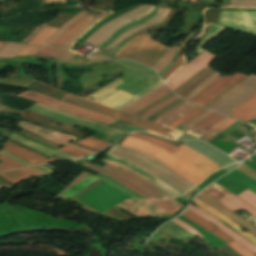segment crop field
<instances>
[{
  "label": "crop field",
  "mask_w": 256,
  "mask_h": 256,
  "mask_svg": "<svg viewBox=\"0 0 256 256\" xmlns=\"http://www.w3.org/2000/svg\"><path fill=\"white\" fill-rule=\"evenodd\" d=\"M1 188V187H0Z\"/></svg>",
  "instance_id": "ade564c9"
},
{
  "label": "crop field",
  "mask_w": 256,
  "mask_h": 256,
  "mask_svg": "<svg viewBox=\"0 0 256 256\" xmlns=\"http://www.w3.org/2000/svg\"><path fill=\"white\" fill-rule=\"evenodd\" d=\"M248 76L241 74H234L230 77H220L197 96H195L190 102L208 108L216 100L233 89L235 86L244 81Z\"/></svg>",
  "instance_id": "dd49c442"
},
{
  "label": "crop field",
  "mask_w": 256,
  "mask_h": 256,
  "mask_svg": "<svg viewBox=\"0 0 256 256\" xmlns=\"http://www.w3.org/2000/svg\"><path fill=\"white\" fill-rule=\"evenodd\" d=\"M169 92H171L170 89L165 85L158 87L153 91L143 95L142 97H140L139 99L131 103L130 105H128L126 108L123 109V111L133 114L139 109H141L143 106H145L146 104L162 97L163 95Z\"/></svg>",
  "instance_id": "733c2abd"
},
{
  "label": "crop field",
  "mask_w": 256,
  "mask_h": 256,
  "mask_svg": "<svg viewBox=\"0 0 256 256\" xmlns=\"http://www.w3.org/2000/svg\"><path fill=\"white\" fill-rule=\"evenodd\" d=\"M81 166L99 171L130 188L146 199H167L169 196L165 195L156 188L148 185L135 175L118 168L116 166L106 164L103 168L85 163Z\"/></svg>",
  "instance_id": "412701ff"
},
{
  "label": "crop field",
  "mask_w": 256,
  "mask_h": 256,
  "mask_svg": "<svg viewBox=\"0 0 256 256\" xmlns=\"http://www.w3.org/2000/svg\"><path fill=\"white\" fill-rule=\"evenodd\" d=\"M132 136H136L138 138H141L143 140H146L148 142H151V143H154L170 152L174 151L177 147L169 144V143H166V142H163V141H160V140H157V139H154V138H151V137H148V136H144V135H140V134H136V133H133L131 134Z\"/></svg>",
  "instance_id": "0bd39190"
},
{
  "label": "crop field",
  "mask_w": 256,
  "mask_h": 256,
  "mask_svg": "<svg viewBox=\"0 0 256 256\" xmlns=\"http://www.w3.org/2000/svg\"><path fill=\"white\" fill-rule=\"evenodd\" d=\"M91 176V175H90ZM89 177V176H88ZM88 177H86L85 179H87ZM96 177H93V176H91L90 178H88L86 181H84L85 179H83L81 182H83V183H81V182H79L78 184H80V185H78V184H76L75 186H77V187H75V186H73L71 189H73L74 187V189L73 190H71V189H69L68 191H70V192H68V191H66L65 193H64V195L65 196H63V197H69L72 193H74L75 191H77L78 189H80L81 187H83L84 185H86L87 183H89L90 181H92L93 179H95ZM98 179V178H97ZM96 180V179H95ZM95 180H93L92 182H90L89 184H87L86 186H84L83 188H81L80 190H78L77 192H75L74 194H72L70 197H72V196H74L75 194H77L78 192H80L82 189H84L85 187H87L88 185H90L91 183H93Z\"/></svg>",
  "instance_id": "c21b1889"
},
{
  "label": "crop field",
  "mask_w": 256,
  "mask_h": 256,
  "mask_svg": "<svg viewBox=\"0 0 256 256\" xmlns=\"http://www.w3.org/2000/svg\"><path fill=\"white\" fill-rule=\"evenodd\" d=\"M184 217L194 221L195 223L199 224L203 228L207 229L208 231H210L211 233H213L214 235L222 239L224 242H226L228 245L235 242L231 238H229L227 235H225L223 232H221L219 229H217L214 225L198 218L196 215H194L190 211L187 214H185ZM229 246H231L235 251L239 252L243 256H255L250 251H248L247 249H245L244 247H242L236 242Z\"/></svg>",
  "instance_id": "cbeb9de0"
},
{
  "label": "crop field",
  "mask_w": 256,
  "mask_h": 256,
  "mask_svg": "<svg viewBox=\"0 0 256 256\" xmlns=\"http://www.w3.org/2000/svg\"><path fill=\"white\" fill-rule=\"evenodd\" d=\"M213 73V71L207 72L205 75H203L200 79H198L196 82H194L192 85H190L187 89L182 91L180 94L181 97H185L187 94H189L194 88H196L199 84H201L203 81H205L208 77H210Z\"/></svg>",
  "instance_id": "d23c7cc5"
},
{
  "label": "crop field",
  "mask_w": 256,
  "mask_h": 256,
  "mask_svg": "<svg viewBox=\"0 0 256 256\" xmlns=\"http://www.w3.org/2000/svg\"><path fill=\"white\" fill-rule=\"evenodd\" d=\"M56 30V28L45 26V28L28 43L33 45H41Z\"/></svg>",
  "instance_id": "e1f06a70"
},
{
  "label": "crop field",
  "mask_w": 256,
  "mask_h": 256,
  "mask_svg": "<svg viewBox=\"0 0 256 256\" xmlns=\"http://www.w3.org/2000/svg\"><path fill=\"white\" fill-rule=\"evenodd\" d=\"M161 9H162V8H161ZM158 11H159V9L155 8L152 12L146 14L145 16H143V17H141V18H139V19H137V20H135V21H133V22H131V23L125 25L124 27H122V28L116 30V31H115L114 33H112L109 37H107L104 41H102L101 44L99 45V47H101V48L104 49L112 40H114V39H115L119 34H121L124 30H126V29H128V28H130V27H132V26H134V25H136V24H138V23H140V22H142V21H144V20H146V19H148V18L154 16V15H156ZM160 11H161V10H160ZM160 11H159V13H160ZM159 13H158L157 15H159ZM157 15H156V16H157ZM123 33H124V32H123ZM119 36H120V35H119ZM112 42H113V41H112ZM112 42H111V43H112ZM111 43H110V44H111ZM110 44H109V45H110ZM109 45H108V46H109Z\"/></svg>",
  "instance_id": "a9b5d70f"
},
{
  "label": "crop field",
  "mask_w": 256,
  "mask_h": 256,
  "mask_svg": "<svg viewBox=\"0 0 256 256\" xmlns=\"http://www.w3.org/2000/svg\"><path fill=\"white\" fill-rule=\"evenodd\" d=\"M2 147H3V149H2L3 151L10 152V153L14 154L15 156H17V157L27 161L28 163H30L32 165H35L36 163L42 164V163L54 162L55 161L52 158L46 160V159H44L42 157H39V156H37V155H35V154H33V153H31V152L21 148V147L13 145V144H11L9 142L4 143ZM16 153H18L20 155H23V156L29 158L30 160H32V161H34L36 163H34V162H32V161H30V160H28V159H26V158L16 154Z\"/></svg>",
  "instance_id": "bc2a9ffb"
},
{
  "label": "crop field",
  "mask_w": 256,
  "mask_h": 256,
  "mask_svg": "<svg viewBox=\"0 0 256 256\" xmlns=\"http://www.w3.org/2000/svg\"><path fill=\"white\" fill-rule=\"evenodd\" d=\"M177 225H179L180 227L184 228L185 230L191 232L192 234L204 239L200 234H198L191 226H189L188 224L184 223L183 221L179 220V219H175L173 221H171Z\"/></svg>",
  "instance_id": "dbb93151"
},
{
  "label": "crop field",
  "mask_w": 256,
  "mask_h": 256,
  "mask_svg": "<svg viewBox=\"0 0 256 256\" xmlns=\"http://www.w3.org/2000/svg\"><path fill=\"white\" fill-rule=\"evenodd\" d=\"M129 196L103 181L76 200L103 213L121 201L131 198Z\"/></svg>",
  "instance_id": "f4fd0767"
},
{
  "label": "crop field",
  "mask_w": 256,
  "mask_h": 256,
  "mask_svg": "<svg viewBox=\"0 0 256 256\" xmlns=\"http://www.w3.org/2000/svg\"><path fill=\"white\" fill-rule=\"evenodd\" d=\"M179 198L183 199V200L186 201V202H187V200H188V198H186V197H184V196H181V197H179Z\"/></svg>",
  "instance_id": "ae633e8c"
},
{
  "label": "crop field",
  "mask_w": 256,
  "mask_h": 256,
  "mask_svg": "<svg viewBox=\"0 0 256 256\" xmlns=\"http://www.w3.org/2000/svg\"><path fill=\"white\" fill-rule=\"evenodd\" d=\"M228 115L245 121L253 118L256 115V93Z\"/></svg>",
  "instance_id": "92a150f3"
},
{
  "label": "crop field",
  "mask_w": 256,
  "mask_h": 256,
  "mask_svg": "<svg viewBox=\"0 0 256 256\" xmlns=\"http://www.w3.org/2000/svg\"><path fill=\"white\" fill-rule=\"evenodd\" d=\"M183 62H184V58H183V56H180L179 59H178V61H177L175 64H173V65L170 67V69H169L165 74H163V75L161 76V78H162L163 80H165L166 78H168L172 73H174V72L177 70V68H178Z\"/></svg>",
  "instance_id": "89e229c0"
},
{
  "label": "crop field",
  "mask_w": 256,
  "mask_h": 256,
  "mask_svg": "<svg viewBox=\"0 0 256 256\" xmlns=\"http://www.w3.org/2000/svg\"><path fill=\"white\" fill-rule=\"evenodd\" d=\"M66 103L88 108L100 113H104L113 117H116L118 119L124 120L126 122L132 123L134 125H137L141 128L147 129L146 132H150L156 135H159L161 137L167 138V139H176L183 135L184 133L178 132L172 128L161 126L152 122H149L147 120L139 119L135 116L129 115L127 113L116 111L114 109L102 106L100 104H97L95 102L86 101L83 99L76 98L72 95H66L63 100Z\"/></svg>",
  "instance_id": "ac0d7876"
},
{
  "label": "crop field",
  "mask_w": 256,
  "mask_h": 256,
  "mask_svg": "<svg viewBox=\"0 0 256 256\" xmlns=\"http://www.w3.org/2000/svg\"><path fill=\"white\" fill-rule=\"evenodd\" d=\"M91 58H99V59H106V60H110L109 57H105V56H98V55H93Z\"/></svg>",
  "instance_id": "0f1d7ab4"
},
{
  "label": "crop field",
  "mask_w": 256,
  "mask_h": 256,
  "mask_svg": "<svg viewBox=\"0 0 256 256\" xmlns=\"http://www.w3.org/2000/svg\"><path fill=\"white\" fill-rule=\"evenodd\" d=\"M110 13H100L97 16H95L91 21H89L86 25L81 27L75 34H73L60 48L68 49L69 46L77 40L85 31H87L94 23H96L98 20L102 19L106 15Z\"/></svg>",
  "instance_id": "d3111659"
},
{
  "label": "crop field",
  "mask_w": 256,
  "mask_h": 256,
  "mask_svg": "<svg viewBox=\"0 0 256 256\" xmlns=\"http://www.w3.org/2000/svg\"><path fill=\"white\" fill-rule=\"evenodd\" d=\"M191 35H192V32L189 34V36H188V37L185 39V41L183 42V44H182V46H181L179 52L177 53V55H176V56L174 57V59L172 60L173 63H174V61L176 60V58L179 56V54L181 53V51H182L184 45H185L186 42L190 39ZM172 62L159 74V76L162 75L164 72H166V71L169 69V67L173 64Z\"/></svg>",
  "instance_id": "0765c3eb"
},
{
  "label": "crop field",
  "mask_w": 256,
  "mask_h": 256,
  "mask_svg": "<svg viewBox=\"0 0 256 256\" xmlns=\"http://www.w3.org/2000/svg\"><path fill=\"white\" fill-rule=\"evenodd\" d=\"M39 168H41V169H43V170H45V171H47V172H49V173H51V174H53V175H55L56 173H54V172H52V171H50V170H48V169H46V168H44V167H42V166H38Z\"/></svg>",
  "instance_id": "e1d0b9f6"
},
{
  "label": "crop field",
  "mask_w": 256,
  "mask_h": 256,
  "mask_svg": "<svg viewBox=\"0 0 256 256\" xmlns=\"http://www.w3.org/2000/svg\"><path fill=\"white\" fill-rule=\"evenodd\" d=\"M24 45L5 42L0 49V58H12Z\"/></svg>",
  "instance_id": "5866460e"
},
{
  "label": "crop field",
  "mask_w": 256,
  "mask_h": 256,
  "mask_svg": "<svg viewBox=\"0 0 256 256\" xmlns=\"http://www.w3.org/2000/svg\"><path fill=\"white\" fill-rule=\"evenodd\" d=\"M205 110L201 109L200 111H198L196 114H194L192 117H190L188 120H186L185 122L179 124L177 127H175V129H182L185 126H187L191 121H193L198 115H200L201 113H203ZM206 112V111H205ZM199 117V116H198Z\"/></svg>",
  "instance_id": "447ae74e"
},
{
  "label": "crop field",
  "mask_w": 256,
  "mask_h": 256,
  "mask_svg": "<svg viewBox=\"0 0 256 256\" xmlns=\"http://www.w3.org/2000/svg\"><path fill=\"white\" fill-rule=\"evenodd\" d=\"M103 161L106 162V163H110V164L116 165V166H118V167H121V168H123V169H125V170H127V171H129V172H131V173H133V174H135V175H137L138 177L142 178L143 180L147 181L148 183L152 184L153 186L159 188L161 191H163V192L166 193L167 195L171 196L172 198L175 197V196H173L172 194H170L169 192H167L166 190H164L163 188L159 187V186L156 185L155 183H153V182H151L150 180H148L147 178L143 177L142 175H140V174H138V173H136V172H134V171H131V170L125 168V167H122V166H120V165H118V164H116V163H114V162L105 161V160H103Z\"/></svg>",
  "instance_id": "25e5ab78"
},
{
  "label": "crop field",
  "mask_w": 256,
  "mask_h": 256,
  "mask_svg": "<svg viewBox=\"0 0 256 256\" xmlns=\"http://www.w3.org/2000/svg\"><path fill=\"white\" fill-rule=\"evenodd\" d=\"M89 11H81L76 16L68 20L64 25H62L50 38H48L42 45L50 46L55 40H57L69 27L76 23L83 15L87 14Z\"/></svg>",
  "instance_id": "eef30255"
},
{
  "label": "crop field",
  "mask_w": 256,
  "mask_h": 256,
  "mask_svg": "<svg viewBox=\"0 0 256 256\" xmlns=\"http://www.w3.org/2000/svg\"><path fill=\"white\" fill-rule=\"evenodd\" d=\"M94 15V13H89L84 18L79 20L73 27H71L58 41H56L52 47L59 48L78 28L83 26L88 20H90Z\"/></svg>",
  "instance_id": "bd1437ed"
},
{
  "label": "crop field",
  "mask_w": 256,
  "mask_h": 256,
  "mask_svg": "<svg viewBox=\"0 0 256 256\" xmlns=\"http://www.w3.org/2000/svg\"><path fill=\"white\" fill-rule=\"evenodd\" d=\"M79 143L93 147L95 149L101 150L103 148H105L106 146H108V143L96 140L94 138L88 137L82 141H80Z\"/></svg>",
  "instance_id": "b54c1fbb"
},
{
  "label": "crop field",
  "mask_w": 256,
  "mask_h": 256,
  "mask_svg": "<svg viewBox=\"0 0 256 256\" xmlns=\"http://www.w3.org/2000/svg\"><path fill=\"white\" fill-rule=\"evenodd\" d=\"M178 98L176 95L169 98L168 100L160 103L159 105L153 107L152 109H150L149 111H147L145 114H143L140 118H144L146 119L147 117H149L153 112H155L157 109L163 107L164 105H166L167 103L171 102L172 100Z\"/></svg>",
  "instance_id": "1f2cbd36"
},
{
  "label": "crop field",
  "mask_w": 256,
  "mask_h": 256,
  "mask_svg": "<svg viewBox=\"0 0 256 256\" xmlns=\"http://www.w3.org/2000/svg\"><path fill=\"white\" fill-rule=\"evenodd\" d=\"M199 109L195 108L192 111H190L189 113H187L186 115H184L182 118H180L179 120H177L175 123H173L172 125H170L169 127L174 128L175 126H177L179 123H181L182 121L186 120L187 118H189L191 115H193L195 112H197Z\"/></svg>",
  "instance_id": "db79e9e6"
},
{
  "label": "crop field",
  "mask_w": 256,
  "mask_h": 256,
  "mask_svg": "<svg viewBox=\"0 0 256 256\" xmlns=\"http://www.w3.org/2000/svg\"><path fill=\"white\" fill-rule=\"evenodd\" d=\"M215 58L214 55L209 52H204L198 57L191 60L184 67L178 70L175 74H173L168 80L167 83L172 89L177 88L191 76H193L196 72L206 66L208 63L213 61Z\"/></svg>",
  "instance_id": "3316defc"
},
{
  "label": "crop field",
  "mask_w": 256,
  "mask_h": 256,
  "mask_svg": "<svg viewBox=\"0 0 256 256\" xmlns=\"http://www.w3.org/2000/svg\"><path fill=\"white\" fill-rule=\"evenodd\" d=\"M157 206L161 207L162 209L166 210L170 214H174L176 211L182 208V204L178 203L177 201L170 199V200H156L151 201Z\"/></svg>",
  "instance_id": "1d83c4d3"
},
{
  "label": "crop field",
  "mask_w": 256,
  "mask_h": 256,
  "mask_svg": "<svg viewBox=\"0 0 256 256\" xmlns=\"http://www.w3.org/2000/svg\"><path fill=\"white\" fill-rule=\"evenodd\" d=\"M218 77H220L219 73H215L210 78H208L205 82H203L201 85H199L195 90H193L188 96H186L184 99L189 101L192 99L195 95H197L201 90H203L206 86H208L210 83H212L214 80H216Z\"/></svg>",
  "instance_id": "b80d0937"
},
{
  "label": "crop field",
  "mask_w": 256,
  "mask_h": 256,
  "mask_svg": "<svg viewBox=\"0 0 256 256\" xmlns=\"http://www.w3.org/2000/svg\"><path fill=\"white\" fill-rule=\"evenodd\" d=\"M168 48L151 41L148 34H142L124 45L112 60L131 59L153 66Z\"/></svg>",
  "instance_id": "34b2d1b8"
},
{
  "label": "crop field",
  "mask_w": 256,
  "mask_h": 256,
  "mask_svg": "<svg viewBox=\"0 0 256 256\" xmlns=\"http://www.w3.org/2000/svg\"><path fill=\"white\" fill-rule=\"evenodd\" d=\"M169 12V10L167 9H162L161 11V14L159 16H157L156 18L122 34L120 37H118L109 47L107 48H110V47H114L117 43H119L122 39L126 38L127 36H129L130 34H132L133 32H135L136 30L138 29H141L143 27H146V26H149V25H152V24H156V23H160L162 22V20L164 19V17L166 16V14Z\"/></svg>",
  "instance_id": "750c4746"
},
{
  "label": "crop field",
  "mask_w": 256,
  "mask_h": 256,
  "mask_svg": "<svg viewBox=\"0 0 256 256\" xmlns=\"http://www.w3.org/2000/svg\"><path fill=\"white\" fill-rule=\"evenodd\" d=\"M199 208L203 209L207 213L215 216L219 220L223 221L226 223L228 226H230L233 230H235L237 233L241 234L242 236L246 237L248 240H250L252 243L256 244V237H254L252 234L249 232H241L242 228H240L238 225H236L234 222L229 220L227 217H225L223 214L218 212L217 210L211 208L207 204H205L203 201L200 199L196 198L193 201Z\"/></svg>",
  "instance_id": "4a817a6b"
},
{
  "label": "crop field",
  "mask_w": 256,
  "mask_h": 256,
  "mask_svg": "<svg viewBox=\"0 0 256 256\" xmlns=\"http://www.w3.org/2000/svg\"><path fill=\"white\" fill-rule=\"evenodd\" d=\"M17 96L28 98V99L40 102L45 105H51V104L58 102V100H56V99H53V98H50V97H47V96H44V95H41V94H38V93H35L32 91L25 92V93H22Z\"/></svg>",
  "instance_id": "d32e631a"
},
{
  "label": "crop field",
  "mask_w": 256,
  "mask_h": 256,
  "mask_svg": "<svg viewBox=\"0 0 256 256\" xmlns=\"http://www.w3.org/2000/svg\"><path fill=\"white\" fill-rule=\"evenodd\" d=\"M224 30H226V28L218 27V26H215V25L211 24L207 35L200 42V44H199V46H198V48H197L195 53L199 55L202 52H204L205 50L201 49L200 47L203 46L204 44H206L208 41H210L214 37H216L218 34L223 32Z\"/></svg>",
  "instance_id": "028f5c9d"
},
{
  "label": "crop field",
  "mask_w": 256,
  "mask_h": 256,
  "mask_svg": "<svg viewBox=\"0 0 256 256\" xmlns=\"http://www.w3.org/2000/svg\"><path fill=\"white\" fill-rule=\"evenodd\" d=\"M17 127L22 128L24 130H27V131H29V132L37 135V136H40V137L45 138L47 140H50V141H52L54 143H57L59 145L64 144V145H66L68 147H71L73 149H77V150L84 151V152L91 153V154L94 153V152H91V151H87V150H84V149H81V148L74 147L75 145L74 146L70 145L68 142L75 140L74 137L59 134V133H55V132H51V131H47V130L42 129L38 126L27 124L23 121H21L17 125Z\"/></svg>",
  "instance_id": "d1516ede"
},
{
  "label": "crop field",
  "mask_w": 256,
  "mask_h": 256,
  "mask_svg": "<svg viewBox=\"0 0 256 256\" xmlns=\"http://www.w3.org/2000/svg\"><path fill=\"white\" fill-rule=\"evenodd\" d=\"M223 7H231V2H230V0H224V2H223Z\"/></svg>",
  "instance_id": "78b8030e"
},
{
  "label": "crop field",
  "mask_w": 256,
  "mask_h": 256,
  "mask_svg": "<svg viewBox=\"0 0 256 256\" xmlns=\"http://www.w3.org/2000/svg\"><path fill=\"white\" fill-rule=\"evenodd\" d=\"M33 54L43 56V57L53 58V59L64 60V61H67L69 58H71L74 55V53L70 51L57 50V49L45 48V47H40Z\"/></svg>",
  "instance_id": "4177f3b9"
},
{
  "label": "crop field",
  "mask_w": 256,
  "mask_h": 256,
  "mask_svg": "<svg viewBox=\"0 0 256 256\" xmlns=\"http://www.w3.org/2000/svg\"><path fill=\"white\" fill-rule=\"evenodd\" d=\"M59 150L67 153V154H70L72 156H76V157H81V156H86V155H90V154H86V153H82L80 151H76V150H73L71 148H68L66 146L60 148Z\"/></svg>",
  "instance_id": "9d1cf04e"
},
{
  "label": "crop field",
  "mask_w": 256,
  "mask_h": 256,
  "mask_svg": "<svg viewBox=\"0 0 256 256\" xmlns=\"http://www.w3.org/2000/svg\"><path fill=\"white\" fill-rule=\"evenodd\" d=\"M120 145L135 149L143 154L156 158L196 185L209 174L221 168L184 145L175 151L174 154L187 161L154 144L130 136L126 137Z\"/></svg>",
  "instance_id": "8a807250"
},
{
  "label": "crop field",
  "mask_w": 256,
  "mask_h": 256,
  "mask_svg": "<svg viewBox=\"0 0 256 256\" xmlns=\"http://www.w3.org/2000/svg\"><path fill=\"white\" fill-rule=\"evenodd\" d=\"M132 38H128L123 40L121 43H119L110 53H106V52H99L97 54L99 55H106V56H110L113 57V55L127 42H129Z\"/></svg>",
  "instance_id": "1d79db26"
},
{
  "label": "crop field",
  "mask_w": 256,
  "mask_h": 256,
  "mask_svg": "<svg viewBox=\"0 0 256 256\" xmlns=\"http://www.w3.org/2000/svg\"><path fill=\"white\" fill-rule=\"evenodd\" d=\"M235 120L224 118L222 121L217 123L216 125L212 126L210 130H208L203 136H201L199 139L209 142L211 141L215 136H217L220 132H222L224 129H226L229 125H231Z\"/></svg>",
  "instance_id": "730fd06b"
},
{
  "label": "crop field",
  "mask_w": 256,
  "mask_h": 256,
  "mask_svg": "<svg viewBox=\"0 0 256 256\" xmlns=\"http://www.w3.org/2000/svg\"><path fill=\"white\" fill-rule=\"evenodd\" d=\"M183 102H184V101L179 98V99H177V100H175V101L169 103L168 105L164 106L163 108L157 110V111H156L155 113H153L147 120L152 121V120H154L155 118H157L159 115L165 113L166 111H168V110L174 108L175 106H177V105H179V104H181V103H183Z\"/></svg>",
  "instance_id": "c035e120"
},
{
  "label": "crop field",
  "mask_w": 256,
  "mask_h": 256,
  "mask_svg": "<svg viewBox=\"0 0 256 256\" xmlns=\"http://www.w3.org/2000/svg\"><path fill=\"white\" fill-rule=\"evenodd\" d=\"M38 46H29L26 45L24 48H22L16 56H25L33 53L35 50H37Z\"/></svg>",
  "instance_id": "0fb4a251"
},
{
  "label": "crop field",
  "mask_w": 256,
  "mask_h": 256,
  "mask_svg": "<svg viewBox=\"0 0 256 256\" xmlns=\"http://www.w3.org/2000/svg\"><path fill=\"white\" fill-rule=\"evenodd\" d=\"M33 175H43L31 168H24V169H16V170H9L5 172H1L0 176L13 181L19 184L23 179Z\"/></svg>",
  "instance_id": "00972430"
},
{
  "label": "crop field",
  "mask_w": 256,
  "mask_h": 256,
  "mask_svg": "<svg viewBox=\"0 0 256 256\" xmlns=\"http://www.w3.org/2000/svg\"><path fill=\"white\" fill-rule=\"evenodd\" d=\"M152 9H153V7H151V6L142 5L134 10L124 13V14L112 19L108 23H106L104 26H102L100 29H98L94 34H92L85 42L97 47L99 45V43L104 38H106L108 35H110L116 29H118L122 25H124L134 19H137V18L145 15L146 13L150 12Z\"/></svg>",
  "instance_id": "d8731c3e"
},
{
  "label": "crop field",
  "mask_w": 256,
  "mask_h": 256,
  "mask_svg": "<svg viewBox=\"0 0 256 256\" xmlns=\"http://www.w3.org/2000/svg\"><path fill=\"white\" fill-rule=\"evenodd\" d=\"M4 44V42H0V48H1V46Z\"/></svg>",
  "instance_id": "d14b1444"
},
{
  "label": "crop field",
  "mask_w": 256,
  "mask_h": 256,
  "mask_svg": "<svg viewBox=\"0 0 256 256\" xmlns=\"http://www.w3.org/2000/svg\"><path fill=\"white\" fill-rule=\"evenodd\" d=\"M255 92L256 77L251 75L248 79L215 102L210 109L228 114L246 101Z\"/></svg>",
  "instance_id": "e52e79f7"
},
{
  "label": "crop field",
  "mask_w": 256,
  "mask_h": 256,
  "mask_svg": "<svg viewBox=\"0 0 256 256\" xmlns=\"http://www.w3.org/2000/svg\"><path fill=\"white\" fill-rule=\"evenodd\" d=\"M217 24L256 35V12H221Z\"/></svg>",
  "instance_id": "5a996713"
},
{
  "label": "crop field",
  "mask_w": 256,
  "mask_h": 256,
  "mask_svg": "<svg viewBox=\"0 0 256 256\" xmlns=\"http://www.w3.org/2000/svg\"><path fill=\"white\" fill-rule=\"evenodd\" d=\"M203 191L211 195L232 211L236 209H244L256 217V209L215 182L209 185Z\"/></svg>",
  "instance_id": "28ad6ade"
},
{
  "label": "crop field",
  "mask_w": 256,
  "mask_h": 256,
  "mask_svg": "<svg viewBox=\"0 0 256 256\" xmlns=\"http://www.w3.org/2000/svg\"><path fill=\"white\" fill-rule=\"evenodd\" d=\"M255 225H256V223H255Z\"/></svg>",
  "instance_id": "c39391a2"
},
{
  "label": "crop field",
  "mask_w": 256,
  "mask_h": 256,
  "mask_svg": "<svg viewBox=\"0 0 256 256\" xmlns=\"http://www.w3.org/2000/svg\"><path fill=\"white\" fill-rule=\"evenodd\" d=\"M108 158H109V160H111V161L117 162V163H119V164H121V165H123V166H125V167H127V168H130V169H132V170H134V171H136V172H138V173L144 175L145 177H147L148 179H150V180H152L153 182L157 183L158 185L162 186L163 188L167 189L168 191H170V192L173 193L174 195H176V196H181V195H179L177 192H175L173 189H171L169 186H167L166 184L160 182L159 180L155 179L154 177H152V176L148 175L147 173L141 171L140 169H138V168L135 167L134 165H132V164L126 162V161H123V160H120V159L111 157V156H109V155H108Z\"/></svg>",
  "instance_id": "ae1a2a85"
},
{
  "label": "crop field",
  "mask_w": 256,
  "mask_h": 256,
  "mask_svg": "<svg viewBox=\"0 0 256 256\" xmlns=\"http://www.w3.org/2000/svg\"><path fill=\"white\" fill-rule=\"evenodd\" d=\"M188 209L193 211L198 216L211 221L213 224H215L218 228H220L223 232H225L227 235L235 239L237 242H239L241 245H243L245 248L250 250L256 255V246L245 239H243L241 236H239L236 232L231 230L230 228L226 227L222 222L218 221L217 219L213 218L212 216L206 214L202 210H200L197 207H193L192 205H189Z\"/></svg>",
  "instance_id": "d9b57169"
},
{
  "label": "crop field",
  "mask_w": 256,
  "mask_h": 256,
  "mask_svg": "<svg viewBox=\"0 0 256 256\" xmlns=\"http://www.w3.org/2000/svg\"><path fill=\"white\" fill-rule=\"evenodd\" d=\"M178 48L171 47L167 53L152 67L158 74L168 65L173 59Z\"/></svg>",
  "instance_id": "120bbe31"
},
{
  "label": "crop field",
  "mask_w": 256,
  "mask_h": 256,
  "mask_svg": "<svg viewBox=\"0 0 256 256\" xmlns=\"http://www.w3.org/2000/svg\"><path fill=\"white\" fill-rule=\"evenodd\" d=\"M185 102V101H184ZM195 106L185 102L174 109L166 112L165 114L159 116L157 119H155L153 122H156L161 125L168 126L181 116H183L185 113L193 109Z\"/></svg>",
  "instance_id": "214f88e0"
},
{
  "label": "crop field",
  "mask_w": 256,
  "mask_h": 256,
  "mask_svg": "<svg viewBox=\"0 0 256 256\" xmlns=\"http://www.w3.org/2000/svg\"><path fill=\"white\" fill-rule=\"evenodd\" d=\"M0 161L3 163H0V171L2 170H7V169H12V168H18V167H23L21 164L3 156L0 154Z\"/></svg>",
  "instance_id": "5d738f31"
},
{
  "label": "crop field",
  "mask_w": 256,
  "mask_h": 256,
  "mask_svg": "<svg viewBox=\"0 0 256 256\" xmlns=\"http://www.w3.org/2000/svg\"><path fill=\"white\" fill-rule=\"evenodd\" d=\"M124 210L130 212L131 214L142 217L147 215H170L166 213L161 208L155 206L154 204L148 201H139V200H126L123 203L117 205Z\"/></svg>",
  "instance_id": "22f410ed"
},
{
  "label": "crop field",
  "mask_w": 256,
  "mask_h": 256,
  "mask_svg": "<svg viewBox=\"0 0 256 256\" xmlns=\"http://www.w3.org/2000/svg\"><path fill=\"white\" fill-rule=\"evenodd\" d=\"M225 116L219 115L217 113H212L206 119H204L201 123L191 129L187 134L194 135L196 137H200L204 134L212 125L223 119Z\"/></svg>",
  "instance_id": "dafd665d"
},
{
  "label": "crop field",
  "mask_w": 256,
  "mask_h": 256,
  "mask_svg": "<svg viewBox=\"0 0 256 256\" xmlns=\"http://www.w3.org/2000/svg\"><path fill=\"white\" fill-rule=\"evenodd\" d=\"M173 95H175V94L172 92V93H170V94H168V95H166V96H164V97H162V98H160V99H158V100L152 102L151 104L145 106L144 108H142L140 111H138V112H137L136 114H134V115H136V116H138V117L141 116L143 113H145L147 110H149V109L152 108L153 106L159 104L160 102H162V101L168 99L169 97H171V96H173Z\"/></svg>",
  "instance_id": "73cf0c24"
},
{
  "label": "crop field",
  "mask_w": 256,
  "mask_h": 256,
  "mask_svg": "<svg viewBox=\"0 0 256 256\" xmlns=\"http://www.w3.org/2000/svg\"><path fill=\"white\" fill-rule=\"evenodd\" d=\"M209 70L210 68L206 66L193 77H191L189 80H187L185 83H183L178 89L174 90V92H176L177 94L180 93L182 90H184L186 87H188L190 84H192L194 81H196L199 77H201Z\"/></svg>",
  "instance_id": "03da06ac"
},
{
  "label": "crop field",
  "mask_w": 256,
  "mask_h": 256,
  "mask_svg": "<svg viewBox=\"0 0 256 256\" xmlns=\"http://www.w3.org/2000/svg\"><path fill=\"white\" fill-rule=\"evenodd\" d=\"M237 196H239L240 198H242L243 200H245L246 202H248L249 204L256 208V194H254L250 190L247 189Z\"/></svg>",
  "instance_id": "425ffa30"
},
{
  "label": "crop field",
  "mask_w": 256,
  "mask_h": 256,
  "mask_svg": "<svg viewBox=\"0 0 256 256\" xmlns=\"http://www.w3.org/2000/svg\"><path fill=\"white\" fill-rule=\"evenodd\" d=\"M41 29L36 28L30 35H28L22 42L27 43L31 40L37 33H39Z\"/></svg>",
  "instance_id": "7b73153f"
},
{
  "label": "crop field",
  "mask_w": 256,
  "mask_h": 256,
  "mask_svg": "<svg viewBox=\"0 0 256 256\" xmlns=\"http://www.w3.org/2000/svg\"><path fill=\"white\" fill-rule=\"evenodd\" d=\"M49 107H53L62 111H66L84 118H88L91 120H95L98 122H102L105 124H110L112 122L117 121L118 119L112 118L110 116H106V115H102L99 113H96L94 111L88 110V109H84V108H80V107H76V106H72L66 103H62V102H58L57 104L53 105V106H49Z\"/></svg>",
  "instance_id": "5142ce71"
}]
</instances>
